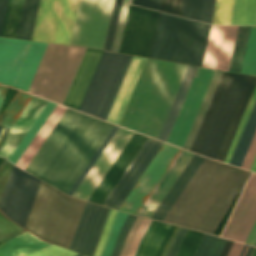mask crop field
<instances>
[{
  "instance_id": "8a807250",
  "label": "crop field",
  "mask_w": 256,
  "mask_h": 256,
  "mask_svg": "<svg viewBox=\"0 0 256 256\" xmlns=\"http://www.w3.org/2000/svg\"><path fill=\"white\" fill-rule=\"evenodd\" d=\"M112 128L67 108L25 170L67 194Z\"/></svg>"
},
{
  "instance_id": "ac0d7876",
  "label": "crop field",
  "mask_w": 256,
  "mask_h": 256,
  "mask_svg": "<svg viewBox=\"0 0 256 256\" xmlns=\"http://www.w3.org/2000/svg\"><path fill=\"white\" fill-rule=\"evenodd\" d=\"M249 175L205 158L164 221L214 234Z\"/></svg>"
},
{
  "instance_id": "34b2d1b8",
  "label": "crop field",
  "mask_w": 256,
  "mask_h": 256,
  "mask_svg": "<svg viewBox=\"0 0 256 256\" xmlns=\"http://www.w3.org/2000/svg\"><path fill=\"white\" fill-rule=\"evenodd\" d=\"M187 67L147 58L119 125L156 139Z\"/></svg>"
},
{
  "instance_id": "412701ff",
  "label": "crop field",
  "mask_w": 256,
  "mask_h": 256,
  "mask_svg": "<svg viewBox=\"0 0 256 256\" xmlns=\"http://www.w3.org/2000/svg\"><path fill=\"white\" fill-rule=\"evenodd\" d=\"M103 51L86 49L64 105L79 109ZM128 55L104 51L80 111L101 117Z\"/></svg>"
},
{
  "instance_id": "f4fd0767",
  "label": "crop field",
  "mask_w": 256,
  "mask_h": 256,
  "mask_svg": "<svg viewBox=\"0 0 256 256\" xmlns=\"http://www.w3.org/2000/svg\"><path fill=\"white\" fill-rule=\"evenodd\" d=\"M84 203L41 182L24 228L44 241L68 248Z\"/></svg>"
},
{
  "instance_id": "dd49c442",
  "label": "crop field",
  "mask_w": 256,
  "mask_h": 256,
  "mask_svg": "<svg viewBox=\"0 0 256 256\" xmlns=\"http://www.w3.org/2000/svg\"><path fill=\"white\" fill-rule=\"evenodd\" d=\"M210 27L159 12L149 57L201 66Z\"/></svg>"
},
{
  "instance_id": "e52e79f7",
  "label": "crop field",
  "mask_w": 256,
  "mask_h": 256,
  "mask_svg": "<svg viewBox=\"0 0 256 256\" xmlns=\"http://www.w3.org/2000/svg\"><path fill=\"white\" fill-rule=\"evenodd\" d=\"M85 49L48 43L27 92L62 104Z\"/></svg>"
},
{
  "instance_id": "d8731c3e",
  "label": "crop field",
  "mask_w": 256,
  "mask_h": 256,
  "mask_svg": "<svg viewBox=\"0 0 256 256\" xmlns=\"http://www.w3.org/2000/svg\"><path fill=\"white\" fill-rule=\"evenodd\" d=\"M46 44L0 37V82L27 90Z\"/></svg>"
},
{
  "instance_id": "5a996713",
  "label": "crop field",
  "mask_w": 256,
  "mask_h": 256,
  "mask_svg": "<svg viewBox=\"0 0 256 256\" xmlns=\"http://www.w3.org/2000/svg\"><path fill=\"white\" fill-rule=\"evenodd\" d=\"M114 0H80L71 45L103 49Z\"/></svg>"
},
{
  "instance_id": "3316defc",
  "label": "crop field",
  "mask_w": 256,
  "mask_h": 256,
  "mask_svg": "<svg viewBox=\"0 0 256 256\" xmlns=\"http://www.w3.org/2000/svg\"><path fill=\"white\" fill-rule=\"evenodd\" d=\"M79 0H41L32 40L69 44Z\"/></svg>"
},
{
  "instance_id": "28ad6ade",
  "label": "crop field",
  "mask_w": 256,
  "mask_h": 256,
  "mask_svg": "<svg viewBox=\"0 0 256 256\" xmlns=\"http://www.w3.org/2000/svg\"><path fill=\"white\" fill-rule=\"evenodd\" d=\"M39 182L40 180L13 166L0 200L1 211L23 226Z\"/></svg>"
},
{
  "instance_id": "d1516ede",
  "label": "crop field",
  "mask_w": 256,
  "mask_h": 256,
  "mask_svg": "<svg viewBox=\"0 0 256 256\" xmlns=\"http://www.w3.org/2000/svg\"><path fill=\"white\" fill-rule=\"evenodd\" d=\"M214 71L200 67L197 68L166 141L167 143L183 147Z\"/></svg>"
},
{
  "instance_id": "22f410ed",
  "label": "crop field",
  "mask_w": 256,
  "mask_h": 256,
  "mask_svg": "<svg viewBox=\"0 0 256 256\" xmlns=\"http://www.w3.org/2000/svg\"><path fill=\"white\" fill-rule=\"evenodd\" d=\"M157 14L130 5L119 52L148 57Z\"/></svg>"
},
{
  "instance_id": "cbeb9de0",
  "label": "crop field",
  "mask_w": 256,
  "mask_h": 256,
  "mask_svg": "<svg viewBox=\"0 0 256 256\" xmlns=\"http://www.w3.org/2000/svg\"><path fill=\"white\" fill-rule=\"evenodd\" d=\"M179 152L164 144L119 209L136 214Z\"/></svg>"
},
{
  "instance_id": "5142ce71",
  "label": "crop field",
  "mask_w": 256,
  "mask_h": 256,
  "mask_svg": "<svg viewBox=\"0 0 256 256\" xmlns=\"http://www.w3.org/2000/svg\"><path fill=\"white\" fill-rule=\"evenodd\" d=\"M249 77L234 75L200 154L215 158Z\"/></svg>"
},
{
  "instance_id": "d9b57169",
  "label": "crop field",
  "mask_w": 256,
  "mask_h": 256,
  "mask_svg": "<svg viewBox=\"0 0 256 256\" xmlns=\"http://www.w3.org/2000/svg\"><path fill=\"white\" fill-rule=\"evenodd\" d=\"M109 210L86 202L68 249L93 256Z\"/></svg>"
},
{
  "instance_id": "733c2abd",
  "label": "crop field",
  "mask_w": 256,
  "mask_h": 256,
  "mask_svg": "<svg viewBox=\"0 0 256 256\" xmlns=\"http://www.w3.org/2000/svg\"><path fill=\"white\" fill-rule=\"evenodd\" d=\"M256 219V175L248 181L222 236L245 242Z\"/></svg>"
},
{
  "instance_id": "4a817a6b",
  "label": "crop field",
  "mask_w": 256,
  "mask_h": 256,
  "mask_svg": "<svg viewBox=\"0 0 256 256\" xmlns=\"http://www.w3.org/2000/svg\"><path fill=\"white\" fill-rule=\"evenodd\" d=\"M162 144L163 142L148 138L103 205L118 209Z\"/></svg>"
},
{
  "instance_id": "bc2a9ffb",
  "label": "crop field",
  "mask_w": 256,
  "mask_h": 256,
  "mask_svg": "<svg viewBox=\"0 0 256 256\" xmlns=\"http://www.w3.org/2000/svg\"><path fill=\"white\" fill-rule=\"evenodd\" d=\"M132 135L133 132L119 127L73 196L87 200Z\"/></svg>"
},
{
  "instance_id": "214f88e0",
  "label": "crop field",
  "mask_w": 256,
  "mask_h": 256,
  "mask_svg": "<svg viewBox=\"0 0 256 256\" xmlns=\"http://www.w3.org/2000/svg\"><path fill=\"white\" fill-rule=\"evenodd\" d=\"M237 28L212 25L202 66L228 71Z\"/></svg>"
},
{
  "instance_id": "92a150f3",
  "label": "crop field",
  "mask_w": 256,
  "mask_h": 256,
  "mask_svg": "<svg viewBox=\"0 0 256 256\" xmlns=\"http://www.w3.org/2000/svg\"><path fill=\"white\" fill-rule=\"evenodd\" d=\"M146 140L147 137L134 133L91 196L88 198L89 201L102 204Z\"/></svg>"
},
{
  "instance_id": "dafd665d",
  "label": "crop field",
  "mask_w": 256,
  "mask_h": 256,
  "mask_svg": "<svg viewBox=\"0 0 256 256\" xmlns=\"http://www.w3.org/2000/svg\"><path fill=\"white\" fill-rule=\"evenodd\" d=\"M46 104L47 101L33 96L6 137L5 144L0 150L1 156L8 159Z\"/></svg>"
},
{
  "instance_id": "00972430",
  "label": "crop field",
  "mask_w": 256,
  "mask_h": 256,
  "mask_svg": "<svg viewBox=\"0 0 256 256\" xmlns=\"http://www.w3.org/2000/svg\"><path fill=\"white\" fill-rule=\"evenodd\" d=\"M233 75L234 74L231 73H222L193 145L190 149L191 151L198 154L200 153Z\"/></svg>"
},
{
  "instance_id": "a9b5d70f",
  "label": "crop field",
  "mask_w": 256,
  "mask_h": 256,
  "mask_svg": "<svg viewBox=\"0 0 256 256\" xmlns=\"http://www.w3.org/2000/svg\"><path fill=\"white\" fill-rule=\"evenodd\" d=\"M145 59L146 58L143 57H133L122 85L112 105V108L109 112V115L106 119L107 121L117 125L119 124Z\"/></svg>"
},
{
  "instance_id": "4177f3b9",
  "label": "crop field",
  "mask_w": 256,
  "mask_h": 256,
  "mask_svg": "<svg viewBox=\"0 0 256 256\" xmlns=\"http://www.w3.org/2000/svg\"><path fill=\"white\" fill-rule=\"evenodd\" d=\"M203 160L204 157L194 154L151 216L152 219L163 221Z\"/></svg>"
},
{
  "instance_id": "730fd06b",
  "label": "crop field",
  "mask_w": 256,
  "mask_h": 256,
  "mask_svg": "<svg viewBox=\"0 0 256 256\" xmlns=\"http://www.w3.org/2000/svg\"><path fill=\"white\" fill-rule=\"evenodd\" d=\"M65 110L66 107L56 105L19 160L16 162V165L25 169Z\"/></svg>"
},
{
  "instance_id": "eef30255",
  "label": "crop field",
  "mask_w": 256,
  "mask_h": 256,
  "mask_svg": "<svg viewBox=\"0 0 256 256\" xmlns=\"http://www.w3.org/2000/svg\"><path fill=\"white\" fill-rule=\"evenodd\" d=\"M47 245L49 244L25 231L22 234L0 244V256H18L37 251Z\"/></svg>"
},
{
  "instance_id": "ae1a2a85",
  "label": "crop field",
  "mask_w": 256,
  "mask_h": 256,
  "mask_svg": "<svg viewBox=\"0 0 256 256\" xmlns=\"http://www.w3.org/2000/svg\"><path fill=\"white\" fill-rule=\"evenodd\" d=\"M255 85L256 77L251 76L215 159L224 160Z\"/></svg>"
},
{
  "instance_id": "d3111659",
  "label": "crop field",
  "mask_w": 256,
  "mask_h": 256,
  "mask_svg": "<svg viewBox=\"0 0 256 256\" xmlns=\"http://www.w3.org/2000/svg\"><path fill=\"white\" fill-rule=\"evenodd\" d=\"M169 227L170 224L152 220L139 244L135 256H155L157 248Z\"/></svg>"
},
{
  "instance_id": "750c4746",
  "label": "crop field",
  "mask_w": 256,
  "mask_h": 256,
  "mask_svg": "<svg viewBox=\"0 0 256 256\" xmlns=\"http://www.w3.org/2000/svg\"><path fill=\"white\" fill-rule=\"evenodd\" d=\"M197 67L189 66L157 139L166 141Z\"/></svg>"
},
{
  "instance_id": "bd1437ed",
  "label": "crop field",
  "mask_w": 256,
  "mask_h": 256,
  "mask_svg": "<svg viewBox=\"0 0 256 256\" xmlns=\"http://www.w3.org/2000/svg\"><path fill=\"white\" fill-rule=\"evenodd\" d=\"M255 131H256V102L248 118V121L244 127V130L241 134V137L238 141V144L235 148L232 158L229 162L230 164H233L239 167L241 166Z\"/></svg>"
},
{
  "instance_id": "1d83c4d3",
  "label": "crop field",
  "mask_w": 256,
  "mask_h": 256,
  "mask_svg": "<svg viewBox=\"0 0 256 256\" xmlns=\"http://www.w3.org/2000/svg\"><path fill=\"white\" fill-rule=\"evenodd\" d=\"M40 0H25L16 38L31 40Z\"/></svg>"
},
{
  "instance_id": "120bbe31",
  "label": "crop field",
  "mask_w": 256,
  "mask_h": 256,
  "mask_svg": "<svg viewBox=\"0 0 256 256\" xmlns=\"http://www.w3.org/2000/svg\"><path fill=\"white\" fill-rule=\"evenodd\" d=\"M231 24H256V0H234Z\"/></svg>"
},
{
  "instance_id": "d32e631a",
  "label": "crop field",
  "mask_w": 256,
  "mask_h": 256,
  "mask_svg": "<svg viewBox=\"0 0 256 256\" xmlns=\"http://www.w3.org/2000/svg\"><path fill=\"white\" fill-rule=\"evenodd\" d=\"M151 220L137 217L124 245L120 256H134L138 244L149 226Z\"/></svg>"
},
{
  "instance_id": "5866460e",
  "label": "crop field",
  "mask_w": 256,
  "mask_h": 256,
  "mask_svg": "<svg viewBox=\"0 0 256 256\" xmlns=\"http://www.w3.org/2000/svg\"><path fill=\"white\" fill-rule=\"evenodd\" d=\"M24 0H9L1 36L15 38Z\"/></svg>"
},
{
  "instance_id": "028f5c9d",
  "label": "crop field",
  "mask_w": 256,
  "mask_h": 256,
  "mask_svg": "<svg viewBox=\"0 0 256 256\" xmlns=\"http://www.w3.org/2000/svg\"><path fill=\"white\" fill-rule=\"evenodd\" d=\"M52 103L48 102V104L45 106V108L43 109L41 114L38 116L36 121L33 123L31 128L29 129V131L26 133L24 138L21 140L19 145L16 147V149L14 150L12 155L9 157L8 160H10L12 163L15 164V162L20 157V155L22 154L24 149L27 147V145L29 144L31 139L34 137V135L36 134L38 129L41 127V125L43 124L45 119L48 117V115L50 114L52 109L55 107V104H52Z\"/></svg>"
},
{
  "instance_id": "e1f06a70",
  "label": "crop field",
  "mask_w": 256,
  "mask_h": 256,
  "mask_svg": "<svg viewBox=\"0 0 256 256\" xmlns=\"http://www.w3.org/2000/svg\"><path fill=\"white\" fill-rule=\"evenodd\" d=\"M221 71H215V73H214V75H213V78H212V80H211V83H210V85H209V87H208V90H207V92H206V95H205V97H204V99H203V102H202V104H201V107H200V109H199V111H198V114H197V116H196V119H195V121H194V123H193V126H192V128H191V131H190V133H189V135H188V138H187V140H186V143H185V145H184V149H190V147H191V145H192V142H193V140H194V137H195V135H196V133H197V130H198V128H199V125H200V123H201V121H202V118H203V116H204V113H205V111H206V109H207V106H208V104H209V101H210V99H211V97H212V94H213V92H214V89H215V87H216V85H217V82H218V80H219V77H220V75H221Z\"/></svg>"
},
{
  "instance_id": "0bd39190",
  "label": "crop field",
  "mask_w": 256,
  "mask_h": 256,
  "mask_svg": "<svg viewBox=\"0 0 256 256\" xmlns=\"http://www.w3.org/2000/svg\"><path fill=\"white\" fill-rule=\"evenodd\" d=\"M30 99L31 96L18 92L0 117V125L10 128Z\"/></svg>"
},
{
  "instance_id": "b80d0937",
  "label": "crop field",
  "mask_w": 256,
  "mask_h": 256,
  "mask_svg": "<svg viewBox=\"0 0 256 256\" xmlns=\"http://www.w3.org/2000/svg\"><path fill=\"white\" fill-rule=\"evenodd\" d=\"M250 27L239 26L229 71L239 73Z\"/></svg>"
},
{
  "instance_id": "c035e120",
  "label": "crop field",
  "mask_w": 256,
  "mask_h": 256,
  "mask_svg": "<svg viewBox=\"0 0 256 256\" xmlns=\"http://www.w3.org/2000/svg\"><path fill=\"white\" fill-rule=\"evenodd\" d=\"M256 65V27H251L240 73H254Z\"/></svg>"
},
{
  "instance_id": "c21b1889",
  "label": "crop field",
  "mask_w": 256,
  "mask_h": 256,
  "mask_svg": "<svg viewBox=\"0 0 256 256\" xmlns=\"http://www.w3.org/2000/svg\"><path fill=\"white\" fill-rule=\"evenodd\" d=\"M192 156H193V153L187 152V154L184 156V158L182 159L180 164L177 166L175 171L172 173L170 178L167 180V182L165 183L163 188L160 190L158 195L155 197L153 202L150 204V206L148 207L146 212L143 214L144 217L150 218V216L152 215V213L154 212V210L156 209V207L158 206V204L160 203V201L162 200V198L164 197V195L166 194V192L168 191L170 186L173 184V182L175 181L177 176L180 174V172L182 171V169L185 167V165L188 163V161L190 160V158Z\"/></svg>"
},
{
  "instance_id": "03da06ac",
  "label": "crop field",
  "mask_w": 256,
  "mask_h": 256,
  "mask_svg": "<svg viewBox=\"0 0 256 256\" xmlns=\"http://www.w3.org/2000/svg\"><path fill=\"white\" fill-rule=\"evenodd\" d=\"M233 0H215L213 24H230Z\"/></svg>"
},
{
  "instance_id": "b54c1fbb",
  "label": "crop field",
  "mask_w": 256,
  "mask_h": 256,
  "mask_svg": "<svg viewBox=\"0 0 256 256\" xmlns=\"http://www.w3.org/2000/svg\"><path fill=\"white\" fill-rule=\"evenodd\" d=\"M186 151L181 150V152L178 154V156L176 157V159L174 160V162L171 164V166L169 167V169L166 171V173L164 174V176L161 178V180L159 181V183L157 184V186L154 188V190L152 191V193L149 195V197L147 198V200L145 201V203L142 205V207L140 208V210L138 211L137 215L142 216V214L145 212V210L147 209V207L149 206V204L152 202V200L154 199V197L157 195V193L159 192V190L162 188V186L164 185V183L166 182V180L169 178V176L171 175V173L174 171V169L176 168V166L179 164V162L181 161V159L183 158V156L185 155Z\"/></svg>"
},
{
  "instance_id": "5d738f31",
  "label": "crop field",
  "mask_w": 256,
  "mask_h": 256,
  "mask_svg": "<svg viewBox=\"0 0 256 256\" xmlns=\"http://www.w3.org/2000/svg\"><path fill=\"white\" fill-rule=\"evenodd\" d=\"M202 234V232L189 229L177 256H192Z\"/></svg>"
},
{
  "instance_id": "d23c7cc5",
  "label": "crop field",
  "mask_w": 256,
  "mask_h": 256,
  "mask_svg": "<svg viewBox=\"0 0 256 256\" xmlns=\"http://www.w3.org/2000/svg\"><path fill=\"white\" fill-rule=\"evenodd\" d=\"M123 0H115L114 7H113V12L110 20V25L108 29V34L106 38V43H105V50L111 51L113 41H114V36L117 28V23L121 11V6H122Z\"/></svg>"
},
{
  "instance_id": "425ffa30",
  "label": "crop field",
  "mask_w": 256,
  "mask_h": 256,
  "mask_svg": "<svg viewBox=\"0 0 256 256\" xmlns=\"http://www.w3.org/2000/svg\"><path fill=\"white\" fill-rule=\"evenodd\" d=\"M126 216H127V213L118 211L102 256H110V253L112 251L113 245L116 240V237L118 235V232H119Z\"/></svg>"
},
{
  "instance_id": "25e5ab78",
  "label": "crop field",
  "mask_w": 256,
  "mask_h": 256,
  "mask_svg": "<svg viewBox=\"0 0 256 256\" xmlns=\"http://www.w3.org/2000/svg\"><path fill=\"white\" fill-rule=\"evenodd\" d=\"M203 3L204 0H184L182 16L201 21Z\"/></svg>"
},
{
  "instance_id": "73cf0c24",
  "label": "crop field",
  "mask_w": 256,
  "mask_h": 256,
  "mask_svg": "<svg viewBox=\"0 0 256 256\" xmlns=\"http://www.w3.org/2000/svg\"><path fill=\"white\" fill-rule=\"evenodd\" d=\"M255 100H256V87H255L254 92L252 94V97H251V99L249 101V104H248V106L246 108V111H245V113L243 115V118H242L241 123H240V125L238 127V130H237V132L235 134V137H234V139L232 141V144H231L230 149H229V151L227 153V156H226V158L224 160L227 163L229 162V160L231 158V155H232V153L234 151V148H235V146L237 144V141H238V139L240 137V134H241V132L243 130V127H244V125L246 123V120H247V118H248V116L250 114V111H251V109L253 107V104H254Z\"/></svg>"
},
{
  "instance_id": "89e229c0",
  "label": "crop field",
  "mask_w": 256,
  "mask_h": 256,
  "mask_svg": "<svg viewBox=\"0 0 256 256\" xmlns=\"http://www.w3.org/2000/svg\"><path fill=\"white\" fill-rule=\"evenodd\" d=\"M135 219H136V216L130 215V214L128 215V217H127V219L117 237L116 243H115L113 251L111 253V256H119V253H120V250L124 243V240H125L127 234L129 233Z\"/></svg>"
},
{
  "instance_id": "1f2cbd36",
  "label": "crop field",
  "mask_w": 256,
  "mask_h": 256,
  "mask_svg": "<svg viewBox=\"0 0 256 256\" xmlns=\"http://www.w3.org/2000/svg\"><path fill=\"white\" fill-rule=\"evenodd\" d=\"M118 129L117 126H114V128L112 129V131L109 133V135L107 136V138L105 139V141L102 143V145L100 146V148L98 149V151L96 152V154L93 156V158L91 159V161L89 162V164L86 166V168L84 169V171L82 172V174L80 175V177L77 179V181L75 182V184L73 185V187L70 189V191L68 192V195H72V193L74 192V190L77 188V186L79 185V183L81 182V180L84 178V176L86 175V173L88 172V170L90 169V167L93 165V163L95 162V160L97 159V157L100 155V153L102 152V150L104 149V147L106 146V144L109 142V140L111 139V137L113 136V134L116 132V130Z\"/></svg>"
},
{
  "instance_id": "dbb93151",
  "label": "crop field",
  "mask_w": 256,
  "mask_h": 256,
  "mask_svg": "<svg viewBox=\"0 0 256 256\" xmlns=\"http://www.w3.org/2000/svg\"><path fill=\"white\" fill-rule=\"evenodd\" d=\"M116 212L117 211L114 210V209L110 210V213H109L107 221L105 223V226H104L103 232L101 234L99 243L97 245L96 251L94 253V256H101L103 248H104V245H105V242H106L108 234H109V231L111 229L114 217L116 215Z\"/></svg>"
},
{
  "instance_id": "0fb4a251",
  "label": "crop field",
  "mask_w": 256,
  "mask_h": 256,
  "mask_svg": "<svg viewBox=\"0 0 256 256\" xmlns=\"http://www.w3.org/2000/svg\"><path fill=\"white\" fill-rule=\"evenodd\" d=\"M130 0H124L112 51L118 52Z\"/></svg>"
},
{
  "instance_id": "1d79db26",
  "label": "crop field",
  "mask_w": 256,
  "mask_h": 256,
  "mask_svg": "<svg viewBox=\"0 0 256 256\" xmlns=\"http://www.w3.org/2000/svg\"><path fill=\"white\" fill-rule=\"evenodd\" d=\"M183 0H161L159 10L181 16Z\"/></svg>"
},
{
  "instance_id": "9d1cf04e",
  "label": "crop field",
  "mask_w": 256,
  "mask_h": 256,
  "mask_svg": "<svg viewBox=\"0 0 256 256\" xmlns=\"http://www.w3.org/2000/svg\"><path fill=\"white\" fill-rule=\"evenodd\" d=\"M37 253L39 256H73L78 254L55 245H50L43 248L37 251Z\"/></svg>"
},
{
  "instance_id": "447ae74e",
  "label": "crop field",
  "mask_w": 256,
  "mask_h": 256,
  "mask_svg": "<svg viewBox=\"0 0 256 256\" xmlns=\"http://www.w3.org/2000/svg\"><path fill=\"white\" fill-rule=\"evenodd\" d=\"M132 57H133V56L129 55L128 58H127V60H126V63H125V65H124V67H123V70H122V72H121V74H120V77H119V79H118V81H117V84H116V86H115V88H114V91H113V93H112V95H111V98H110V100H109V102H108V105H107V107H106V109H105V112H104V114H103V116H102V119H104V120L106 119V117H107V115H108V112H109V110H110V108H111V105H112V103H113V101H114V98H115V96H116V94H117V91H118L120 85H121V82H122V80H123V78H124V75H125V73H126V71H127V68H128V66H129V64H130V61H131Z\"/></svg>"
},
{
  "instance_id": "0765c3eb",
  "label": "crop field",
  "mask_w": 256,
  "mask_h": 256,
  "mask_svg": "<svg viewBox=\"0 0 256 256\" xmlns=\"http://www.w3.org/2000/svg\"><path fill=\"white\" fill-rule=\"evenodd\" d=\"M188 229H184L182 227H180L176 237L174 238L168 252H167V255L166 256H176L177 254V251L182 243V240L186 234Z\"/></svg>"
},
{
  "instance_id": "db79e9e6",
  "label": "crop field",
  "mask_w": 256,
  "mask_h": 256,
  "mask_svg": "<svg viewBox=\"0 0 256 256\" xmlns=\"http://www.w3.org/2000/svg\"><path fill=\"white\" fill-rule=\"evenodd\" d=\"M255 155H256V133L254 135L252 143L249 147V150L246 154V157H245L244 162L241 167L249 170L252 165V162L255 158Z\"/></svg>"
},
{
  "instance_id": "7b73153f",
  "label": "crop field",
  "mask_w": 256,
  "mask_h": 256,
  "mask_svg": "<svg viewBox=\"0 0 256 256\" xmlns=\"http://www.w3.org/2000/svg\"><path fill=\"white\" fill-rule=\"evenodd\" d=\"M215 236L205 234L195 256H205Z\"/></svg>"
},
{
  "instance_id": "78b8030e",
  "label": "crop field",
  "mask_w": 256,
  "mask_h": 256,
  "mask_svg": "<svg viewBox=\"0 0 256 256\" xmlns=\"http://www.w3.org/2000/svg\"><path fill=\"white\" fill-rule=\"evenodd\" d=\"M225 242L226 239L216 236L206 256H219Z\"/></svg>"
},
{
  "instance_id": "0f1d7ab4",
  "label": "crop field",
  "mask_w": 256,
  "mask_h": 256,
  "mask_svg": "<svg viewBox=\"0 0 256 256\" xmlns=\"http://www.w3.org/2000/svg\"><path fill=\"white\" fill-rule=\"evenodd\" d=\"M213 6H214V0H205L202 21L211 23Z\"/></svg>"
},
{
  "instance_id": "e1d0b9f6",
  "label": "crop field",
  "mask_w": 256,
  "mask_h": 256,
  "mask_svg": "<svg viewBox=\"0 0 256 256\" xmlns=\"http://www.w3.org/2000/svg\"><path fill=\"white\" fill-rule=\"evenodd\" d=\"M160 0H133L132 4L158 10Z\"/></svg>"
},
{
  "instance_id": "ae633e8c",
  "label": "crop field",
  "mask_w": 256,
  "mask_h": 256,
  "mask_svg": "<svg viewBox=\"0 0 256 256\" xmlns=\"http://www.w3.org/2000/svg\"><path fill=\"white\" fill-rule=\"evenodd\" d=\"M175 226L174 225H171L170 229L168 230L167 234L165 235L164 239L162 240L160 246H159V249L157 251V254L156 256H161V253L170 237V235L172 234L173 230H174Z\"/></svg>"
},
{
  "instance_id": "d14b1444",
  "label": "crop field",
  "mask_w": 256,
  "mask_h": 256,
  "mask_svg": "<svg viewBox=\"0 0 256 256\" xmlns=\"http://www.w3.org/2000/svg\"><path fill=\"white\" fill-rule=\"evenodd\" d=\"M7 3H8V0H0V34L2 30Z\"/></svg>"
},
{
  "instance_id": "c39391a2",
  "label": "crop field",
  "mask_w": 256,
  "mask_h": 256,
  "mask_svg": "<svg viewBox=\"0 0 256 256\" xmlns=\"http://www.w3.org/2000/svg\"><path fill=\"white\" fill-rule=\"evenodd\" d=\"M243 246V244L235 242L228 256H239Z\"/></svg>"
},
{
  "instance_id": "ade564c9",
  "label": "crop field",
  "mask_w": 256,
  "mask_h": 256,
  "mask_svg": "<svg viewBox=\"0 0 256 256\" xmlns=\"http://www.w3.org/2000/svg\"><path fill=\"white\" fill-rule=\"evenodd\" d=\"M256 241V221L245 243L254 245Z\"/></svg>"
},
{
  "instance_id": "c5b07064",
  "label": "crop field",
  "mask_w": 256,
  "mask_h": 256,
  "mask_svg": "<svg viewBox=\"0 0 256 256\" xmlns=\"http://www.w3.org/2000/svg\"><path fill=\"white\" fill-rule=\"evenodd\" d=\"M233 243V241L228 240L220 256H227Z\"/></svg>"
},
{
  "instance_id": "c3a83c6f",
  "label": "crop field",
  "mask_w": 256,
  "mask_h": 256,
  "mask_svg": "<svg viewBox=\"0 0 256 256\" xmlns=\"http://www.w3.org/2000/svg\"><path fill=\"white\" fill-rule=\"evenodd\" d=\"M6 89H7L6 87L0 86V106H1V103L3 101Z\"/></svg>"
},
{
  "instance_id": "fb207236",
  "label": "crop field",
  "mask_w": 256,
  "mask_h": 256,
  "mask_svg": "<svg viewBox=\"0 0 256 256\" xmlns=\"http://www.w3.org/2000/svg\"><path fill=\"white\" fill-rule=\"evenodd\" d=\"M246 246H247V245L244 246V248H243V250H242L240 256L242 255V253H243V251H244V249H245ZM247 247H248V249L246 248L247 251L245 250L246 253L244 252V253H245V255L243 254L244 256H249V254H250V252H251V250H252V248H253V247H251V246H247Z\"/></svg>"
},
{
  "instance_id": "7312dd0a",
  "label": "crop field",
  "mask_w": 256,
  "mask_h": 256,
  "mask_svg": "<svg viewBox=\"0 0 256 256\" xmlns=\"http://www.w3.org/2000/svg\"><path fill=\"white\" fill-rule=\"evenodd\" d=\"M250 170L256 173V158H255V160L253 162V165H252Z\"/></svg>"
},
{
  "instance_id": "180be81f",
  "label": "crop field",
  "mask_w": 256,
  "mask_h": 256,
  "mask_svg": "<svg viewBox=\"0 0 256 256\" xmlns=\"http://www.w3.org/2000/svg\"><path fill=\"white\" fill-rule=\"evenodd\" d=\"M22 256H37V255L35 254V252H33V253H29V254L22 255Z\"/></svg>"
},
{
  "instance_id": "f0312440",
  "label": "crop field",
  "mask_w": 256,
  "mask_h": 256,
  "mask_svg": "<svg viewBox=\"0 0 256 256\" xmlns=\"http://www.w3.org/2000/svg\"><path fill=\"white\" fill-rule=\"evenodd\" d=\"M252 256H256V249H255V251H254V253H253V255Z\"/></svg>"
},
{
  "instance_id": "1f1604b0",
  "label": "crop field",
  "mask_w": 256,
  "mask_h": 256,
  "mask_svg": "<svg viewBox=\"0 0 256 256\" xmlns=\"http://www.w3.org/2000/svg\"><path fill=\"white\" fill-rule=\"evenodd\" d=\"M76 256H84V255H82V254H78V255H76Z\"/></svg>"
},
{
  "instance_id": "819c52e7",
  "label": "crop field",
  "mask_w": 256,
  "mask_h": 256,
  "mask_svg": "<svg viewBox=\"0 0 256 256\" xmlns=\"http://www.w3.org/2000/svg\"><path fill=\"white\" fill-rule=\"evenodd\" d=\"M254 75H256V69H255V73H254Z\"/></svg>"
},
{
  "instance_id": "c821d689",
  "label": "crop field",
  "mask_w": 256,
  "mask_h": 256,
  "mask_svg": "<svg viewBox=\"0 0 256 256\" xmlns=\"http://www.w3.org/2000/svg\"><path fill=\"white\" fill-rule=\"evenodd\" d=\"M255 246H256V243H255Z\"/></svg>"
},
{
  "instance_id": "a0ae1fb6",
  "label": "crop field",
  "mask_w": 256,
  "mask_h": 256,
  "mask_svg": "<svg viewBox=\"0 0 256 256\" xmlns=\"http://www.w3.org/2000/svg\"><path fill=\"white\" fill-rule=\"evenodd\" d=\"M0 129H1V127H0Z\"/></svg>"
}]
</instances>
